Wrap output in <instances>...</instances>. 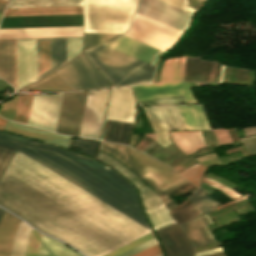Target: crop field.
I'll return each mask as SVG.
<instances>
[{
	"mask_svg": "<svg viewBox=\"0 0 256 256\" xmlns=\"http://www.w3.org/2000/svg\"><path fill=\"white\" fill-rule=\"evenodd\" d=\"M14 149L150 230L133 187L111 169L70 151L0 131ZM0 178V205L88 256H102L148 232L20 153Z\"/></svg>",
	"mask_w": 256,
	"mask_h": 256,
	"instance_id": "obj_1",
	"label": "crop field"
},
{
	"mask_svg": "<svg viewBox=\"0 0 256 256\" xmlns=\"http://www.w3.org/2000/svg\"><path fill=\"white\" fill-rule=\"evenodd\" d=\"M101 150L113 155L160 196L168 211L178 205L166 193L188 182L155 160L123 145L103 142Z\"/></svg>",
	"mask_w": 256,
	"mask_h": 256,
	"instance_id": "obj_2",
	"label": "crop field"
},
{
	"mask_svg": "<svg viewBox=\"0 0 256 256\" xmlns=\"http://www.w3.org/2000/svg\"><path fill=\"white\" fill-rule=\"evenodd\" d=\"M114 86L149 83L154 66L104 45L86 51ZM87 54V55H88Z\"/></svg>",
	"mask_w": 256,
	"mask_h": 256,
	"instance_id": "obj_3",
	"label": "crop field"
},
{
	"mask_svg": "<svg viewBox=\"0 0 256 256\" xmlns=\"http://www.w3.org/2000/svg\"><path fill=\"white\" fill-rule=\"evenodd\" d=\"M138 0H84V32L124 33Z\"/></svg>",
	"mask_w": 256,
	"mask_h": 256,
	"instance_id": "obj_4",
	"label": "crop field"
},
{
	"mask_svg": "<svg viewBox=\"0 0 256 256\" xmlns=\"http://www.w3.org/2000/svg\"><path fill=\"white\" fill-rule=\"evenodd\" d=\"M54 71L73 91L110 86V83L83 53Z\"/></svg>",
	"mask_w": 256,
	"mask_h": 256,
	"instance_id": "obj_5",
	"label": "crop field"
},
{
	"mask_svg": "<svg viewBox=\"0 0 256 256\" xmlns=\"http://www.w3.org/2000/svg\"><path fill=\"white\" fill-rule=\"evenodd\" d=\"M180 33L179 30L136 13L125 35L164 51L172 46Z\"/></svg>",
	"mask_w": 256,
	"mask_h": 256,
	"instance_id": "obj_6",
	"label": "crop field"
},
{
	"mask_svg": "<svg viewBox=\"0 0 256 256\" xmlns=\"http://www.w3.org/2000/svg\"><path fill=\"white\" fill-rule=\"evenodd\" d=\"M108 91L88 92L79 136L99 139Z\"/></svg>",
	"mask_w": 256,
	"mask_h": 256,
	"instance_id": "obj_7",
	"label": "crop field"
},
{
	"mask_svg": "<svg viewBox=\"0 0 256 256\" xmlns=\"http://www.w3.org/2000/svg\"><path fill=\"white\" fill-rule=\"evenodd\" d=\"M136 12L181 31L192 15L159 0H140Z\"/></svg>",
	"mask_w": 256,
	"mask_h": 256,
	"instance_id": "obj_8",
	"label": "crop field"
},
{
	"mask_svg": "<svg viewBox=\"0 0 256 256\" xmlns=\"http://www.w3.org/2000/svg\"><path fill=\"white\" fill-rule=\"evenodd\" d=\"M86 94L63 93L56 132L78 136Z\"/></svg>",
	"mask_w": 256,
	"mask_h": 256,
	"instance_id": "obj_9",
	"label": "crop field"
},
{
	"mask_svg": "<svg viewBox=\"0 0 256 256\" xmlns=\"http://www.w3.org/2000/svg\"><path fill=\"white\" fill-rule=\"evenodd\" d=\"M142 109L156 133L157 142L164 147L171 143L167 130L184 129L176 106L142 107Z\"/></svg>",
	"mask_w": 256,
	"mask_h": 256,
	"instance_id": "obj_10",
	"label": "crop field"
},
{
	"mask_svg": "<svg viewBox=\"0 0 256 256\" xmlns=\"http://www.w3.org/2000/svg\"><path fill=\"white\" fill-rule=\"evenodd\" d=\"M61 95H34L28 124L55 132Z\"/></svg>",
	"mask_w": 256,
	"mask_h": 256,
	"instance_id": "obj_11",
	"label": "crop field"
},
{
	"mask_svg": "<svg viewBox=\"0 0 256 256\" xmlns=\"http://www.w3.org/2000/svg\"><path fill=\"white\" fill-rule=\"evenodd\" d=\"M132 88L139 101L185 94L187 103H197L190 82H166Z\"/></svg>",
	"mask_w": 256,
	"mask_h": 256,
	"instance_id": "obj_12",
	"label": "crop field"
},
{
	"mask_svg": "<svg viewBox=\"0 0 256 256\" xmlns=\"http://www.w3.org/2000/svg\"><path fill=\"white\" fill-rule=\"evenodd\" d=\"M156 233L165 256H194L191 244L176 223L158 229Z\"/></svg>",
	"mask_w": 256,
	"mask_h": 256,
	"instance_id": "obj_13",
	"label": "crop field"
},
{
	"mask_svg": "<svg viewBox=\"0 0 256 256\" xmlns=\"http://www.w3.org/2000/svg\"><path fill=\"white\" fill-rule=\"evenodd\" d=\"M18 89L36 80L35 39L17 40Z\"/></svg>",
	"mask_w": 256,
	"mask_h": 256,
	"instance_id": "obj_14",
	"label": "crop field"
},
{
	"mask_svg": "<svg viewBox=\"0 0 256 256\" xmlns=\"http://www.w3.org/2000/svg\"><path fill=\"white\" fill-rule=\"evenodd\" d=\"M106 118L135 123V100L131 89H113Z\"/></svg>",
	"mask_w": 256,
	"mask_h": 256,
	"instance_id": "obj_15",
	"label": "crop field"
},
{
	"mask_svg": "<svg viewBox=\"0 0 256 256\" xmlns=\"http://www.w3.org/2000/svg\"><path fill=\"white\" fill-rule=\"evenodd\" d=\"M97 159L116 169L136 186L141 194L145 210L162 204V201L158 195L153 190H151L152 188L150 189L146 184L138 179L139 177L137 178L113 156L100 150Z\"/></svg>",
	"mask_w": 256,
	"mask_h": 256,
	"instance_id": "obj_16",
	"label": "crop field"
},
{
	"mask_svg": "<svg viewBox=\"0 0 256 256\" xmlns=\"http://www.w3.org/2000/svg\"><path fill=\"white\" fill-rule=\"evenodd\" d=\"M113 49L121 51L125 54L133 56L137 59L145 61L155 66L156 59L162 53V51L155 49L151 46L143 44L125 35L121 36L114 42L104 44ZM108 47V48H109Z\"/></svg>",
	"mask_w": 256,
	"mask_h": 256,
	"instance_id": "obj_17",
	"label": "crop field"
},
{
	"mask_svg": "<svg viewBox=\"0 0 256 256\" xmlns=\"http://www.w3.org/2000/svg\"><path fill=\"white\" fill-rule=\"evenodd\" d=\"M3 129L67 148H69L72 138L8 121H6Z\"/></svg>",
	"mask_w": 256,
	"mask_h": 256,
	"instance_id": "obj_18",
	"label": "crop field"
},
{
	"mask_svg": "<svg viewBox=\"0 0 256 256\" xmlns=\"http://www.w3.org/2000/svg\"><path fill=\"white\" fill-rule=\"evenodd\" d=\"M0 75L17 88L16 40L0 41Z\"/></svg>",
	"mask_w": 256,
	"mask_h": 256,
	"instance_id": "obj_19",
	"label": "crop field"
},
{
	"mask_svg": "<svg viewBox=\"0 0 256 256\" xmlns=\"http://www.w3.org/2000/svg\"><path fill=\"white\" fill-rule=\"evenodd\" d=\"M210 223H212V220L207 215H203L185 223H182L180 224V226L185 231L194 248H196L207 243L216 242L206 226ZM198 228L207 242L200 234Z\"/></svg>",
	"mask_w": 256,
	"mask_h": 256,
	"instance_id": "obj_20",
	"label": "crop field"
},
{
	"mask_svg": "<svg viewBox=\"0 0 256 256\" xmlns=\"http://www.w3.org/2000/svg\"><path fill=\"white\" fill-rule=\"evenodd\" d=\"M170 135L174 144L187 155L206 146L201 131H172Z\"/></svg>",
	"mask_w": 256,
	"mask_h": 256,
	"instance_id": "obj_21",
	"label": "crop field"
},
{
	"mask_svg": "<svg viewBox=\"0 0 256 256\" xmlns=\"http://www.w3.org/2000/svg\"><path fill=\"white\" fill-rule=\"evenodd\" d=\"M20 220L4 212L0 222V256H10L14 234Z\"/></svg>",
	"mask_w": 256,
	"mask_h": 256,
	"instance_id": "obj_22",
	"label": "crop field"
},
{
	"mask_svg": "<svg viewBox=\"0 0 256 256\" xmlns=\"http://www.w3.org/2000/svg\"><path fill=\"white\" fill-rule=\"evenodd\" d=\"M37 79L53 70L52 39H36Z\"/></svg>",
	"mask_w": 256,
	"mask_h": 256,
	"instance_id": "obj_23",
	"label": "crop field"
},
{
	"mask_svg": "<svg viewBox=\"0 0 256 256\" xmlns=\"http://www.w3.org/2000/svg\"><path fill=\"white\" fill-rule=\"evenodd\" d=\"M82 14V6L6 9L3 16Z\"/></svg>",
	"mask_w": 256,
	"mask_h": 256,
	"instance_id": "obj_24",
	"label": "crop field"
},
{
	"mask_svg": "<svg viewBox=\"0 0 256 256\" xmlns=\"http://www.w3.org/2000/svg\"><path fill=\"white\" fill-rule=\"evenodd\" d=\"M186 130L209 129L200 105L178 106Z\"/></svg>",
	"mask_w": 256,
	"mask_h": 256,
	"instance_id": "obj_25",
	"label": "crop field"
},
{
	"mask_svg": "<svg viewBox=\"0 0 256 256\" xmlns=\"http://www.w3.org/2000/svg\"><path fill=\"white\" fill-rule=\"evenodd\" d=\"M133 125L132 123L106 119L103 140L127 144Z\"/></svg>",
	"mask_w": 256,
	"mask_h": 256,
	"instance_id": "obj_26",
	"label": "crop field"
},
{
	"mask_svg": "<svg viewBox=\"0 0 256 256\" xmlns=\"http://www.w3.org/2000/svg\"><path fill=\"white\" fill-rule=\"evenodd\" d=\"M38 256H82L77 254L65 245L49 238L42 236Z\"/></svg>",
	"mask_w": 256,
	"mask_h": 256,
	"instance_id": "obj_27",
	"label": "crop field"
},
{
	"mask_svg": "<svg viewBox=\"0 0 256 256\" xmlns=\"http://www.w3.org/2000/svg\"><path fill=\"white\" fill-rule=\"evenodd\" d=\"M20 90H61L71 91L67 85L58 77V75L52 71L44 78L23 87Z\"/></svg>",
	"mask_w": 256,
	"mask_h": 256,
	"instance_id": "obj_28",
	"label": "crop field"
},
{
	"mask_svg": "<svg viewBox=\"0 0 256 256\" xmlns=\"http://www.w3.org/2000/svg\"><path fill=\"white\" fill-rule=\"evenodd\" d=\"M178 59L179 58H171L165 62L162 68L160 82L169 80H182L185 56L180 58L177 70Z\"/></svg>",
	"mask_w": 256,
	"mask_h": 256,
	"instance_id": "obj_29",
	"label": "crop field"
},
{
	"mask_svg": "<svg viewBox=\"0 0 256 256\" xmlns=\"http://www.w3.org/2000/svg\"><path fill=\"white\" fill-rule=\"evenodd\" d=\"M32 228L20 222L17 232L15 234L14 243L12 247L11 256H24L28 236Z\"/></svg>",
	"mask_w": 256,
	"mask_h": 256,
	"instance_id": "obj_30",
	"label": "crop field"
},
{
	"mask_svg": "<svg viewBox=\"0 0 256 256\" xmlns=\"http://www.w3.org/2000/svg\"><path fill=\"white\" fill-rule=\"evenodd\" d=\"M146 213L150 219L154 230L174 223L172 218L169 216L164 204L146 210Z\"/></svg>",
	"mask_w": 256,
	"mask_h": 256,
	"instance_id": "obj_31",
	"label": "crop field"
},
{
	"mask_svg": "<svg viewBox=\"0 0 256 256\" xmlns=\"http://www.w3.org/2000/svg\"><path fill=\"white\" fill-rule=\"evenodd\" d=\"M82 36V31L0 34V39Z\"/></svg>",
	"mask_w": 256,
	"mask_h": 256,
	"instance_id": "obj_32",
	"label": "crop field"
},
{
	"mask_svg": "<svg viewBox=\"0 0 256 256\" xmlns=\"http://www.w3.org/2000/svg\"><path fill=\"white\" fill-rule=\"evenodd\" d=\"M203 189L199 188L192 196L188 199L195 204L199 209H201L204 214L214 210L213 207L220 205L217 201L213 200L209 196L205 195ZM209 194V193H207ZM211 195V194H209Z\"/></svg>",
	"mask_w": 256,
	"mask_h": 256,
	"instance_id": "obj_33",
	"label": "crop field"
},
{
	"mask_svg": "<svg viewBox=\"0 0 256 256\" xmlns=\"http://www.w3.org/2000/svg\"><path fill=\"white\" fill-rule=\"evenodd\" d=\"M32 97H33V95H31V96L19 95L15 118H14L15 121H19V122L27 124L30 107H31V102H32Z\"/></svg>",
	"mask_w": 256,
	"mask_h": 256,
	"instance_id": "obj_34",
	"label": "crop field"
},
{
	"mask_svg": "<svg viewBox=\"0 0 256 256\" xmlns=\"http://www.w3.org/2000/svg\"><path fill=\"white\" fill-rule=\"evenodd\" d=\"M201 214L203 213L191 203L171 215L180 224Z\"/></svg>",
	"mask_w": 256,
	"mask_h": 256,
	"instance_id": "obj_35",
	"label": "crop field"
},
{
	"mask_svg": "<svg viewBox=\"0 0 256 256\" xmlns=\"http://www.w3.org/2000/svg\"><path fill=\"white\" fill-rule=\"evenodd\" d=\"M121 34L84 33L85 49L113 40Z\"/></svg>",
	"mask_w": 256,
	"mask_h": 256,
	"instance_id": "obj_36",
	"label": "crop field"
},
{
	"mask_svg": "<svg viewBox=\"0 0 256 256\" xmlns=\"http://www.w3.org/2000/svg\"><path fill=\"white\" fill-rule=\"evenodd\" d=\"M203 182L208 183V184L214 186L215 188H217V189H219L220 191L226 193L227 195H229V196H230L231 198H233V199L236 198L235 200H233V201H231V202H229V203H226V204H224V205H221V206L216 207V208H215L216 210L219 209V208L225 207V206H227V205H230V204L239 202V201H241V200L247 199L246 196H249L248 194H246V195L240 197L241 195H239V194L236 193L235 191H233V190H231V189H229V188H227V187H225V186H222V185H220L219 183H217V182H215V181H213V180H210V179H208V178H205V177H203ZM239 197H240V198H239Z\"/></svg>",
	"mask_w": 256,
	"mask_h": 256,
	"instance_id": "obj_37",
	"label": "crop field"
},
{
	"mask_svg": "<svg viewBox=\"0 0 256 256\" xmlns=\"http://www.w3.org/2000/svg\"><path fill=\"white\" fill-rule=\"evenodd\" d=\"M206 170L203 166H201L199 163L195 164L194 166L186 169L185 171L179 173L186 177L188 180L193 182L195 185L198 186L202 173Z\"/></svg>",
	"mask_w": 256,
	"mask_h": 256,
	"instance_id": "obj_38",
	"label": "crop field"
},
{
	"mask_svg": "<svg viewBox=\"0 0 256 256\" xmlns=\"http://www.w3.org/2000/svg\"><path fill=\"white\" fill-rule=\"evenodd\" d=\"M82 30V27L0 29V33Z\"/></svg>",
	"mask_w": 256,
	"mask_h": 256,
	"instance_id": "obj_39",
	"label": "crop field"
},
{
	"mask_svg": "<svg viewBox=\"0 0 256 256\" xmlns=\"http://www.w3.org/2000/svg\"><path fill=\"white\" fill-rule=\"evenodd\" d=\"M153 237L154 236H153L152 232H150V233H148V234H146V235H144V236H142V237H140V238H138V239H136V240H134V241H132V242H130V243H128V244H126V245H124V246H122V247L104 255V256H117V255H119V254H121V253H123V252H125V251H127V250H129V249H131V248H133V247L151 239V238H153Z\"/></svg>",
	"mask_w": 256,
	"mask_h": 256,
	"instance_id": "obj_40",
	"label": "crop field"
},
{
	"mask_svg": "<svg viewBox=\"0 0 256 256\" xmlns=\"http://www.w3.org/2000/svg\"><path fill=\"white\" fill-rule=\"evenodd\" d=\"M41 235L42 234L38 233L37 231L32 230V232L29 236L25 256H37L38 246H39V241H40Z\"/></svg>",
	"mask_w": 256,
	"mask_h": 256,
	"instance_id": "obj_41",
	"label": "crop field"
},
{
	"mask_svg": "<svg viewBox=\"0 0 256 256\" xmlns=\"http://www.w3.org/2000/svg\"><path fill=\"white\" fill-rule=\"evenodd\" d=\"M17 96L9 102H4L0 104V115L6 119H11L13 120L14 118V113H15V107H16V102H17Z\"/></svg>",
	"mask_w": 256,
	"mask_h": 256,
	"instance_id": "obj_42",
	"label": "crop field"
},
{
	"mask_svg": "<svg viewBox=\"0 0 256 256\" xmlns=\"http://www.w3.org/2000/svg\"><path fill=\"white\" fill-rule=\"evenodd\" d=\"M81 52V38H67V60Z\"/></svg>",
	"mask_w": 256,
	"mask_h": 256,
	"instance_id": "obj_43",
	"label": "crop field"
},
{
	"mask_svg": "<svg viewBox=\"0 0 256 256\" xmlns=\"http://www.w3.org/2000/svg\"><path fill=\"white\" fill-rule=\"evenodd\" d=\"M14 151L0 146V176L12 157Z\"/></svg>",
	"mask_w": 256,
	"mask_h": 256,
	"instance_id": "obj_44",
	"label": "crop field"
},
{
	"mask_svg": "<svg viewBox=\"0 0 256 256\" xmlns=\"http://www.w3.org/2000/svg\"><path fill=\"white\" fill-rule=\"evenodd\" d=\"M201 165L208 168L212 164H220L215 153L206 154L195 158Z\"/></svg>",
	"mask_w": 256,
	"mask_h": 256,
	"instance_id": "obj_45",
	"label": "crop field"
},
{
	"mask_svg": "<svg viewBox=\"0 0 256 256\" xmlns=\"http://www.w3.org/2000/svg\"><path fill=\"white\" fill-rule=\"evenodd\" d=\"M156 243L157 242H156L155 238H153V239H151V240H149V241H147V242H145V243H143V244H141V245H139V246H137V247L121 254V255H119V256H132V255H134V254H136V253H138V252H140V251H142V250H144V249H146V248H148V247H150V246H152Z\"/></svg>",
	"mask_w": 256,
	"mask_h": 256,
	"instance_id": "obj_46",
	"label": "crop field"
},
{
	"mask_svg": "<svg viewBox=\"0 0 256 256\" xmlns=\"http://www.w3.org/2000/svg\"><path fill=\"white\" fill-rule=\"evenodd\" d=\"M241 141L250 153V155L256 153V135L241 138Z\"/></svg>",
	"mask_w": 256,
	"mask_h": 256,
	"instance_id": "obj_47",
	"label": "crop field"
},
{
	"mask_svg": "<svg viewBox=\"0 0 256 256\" xmlns=\"http://www.w3.org/2000/svg\"><path fill=\"white\" fill-rule=\"evenodd\" d=\"M54 68L61 65L60 39H53Z\"/></svg>",
	"mask_w": 256,
	"mask_h": 256,
	"instance_id": "obj_48",
	"label": "crop field"
},
{
	"mask_svg": "<svg viewBox=\"0 0 256 256\" xmlns=\"http://www.w3.org/2000/svg\"><path fill=\"white\" fill-rule=\"evenodd\" d=\"M216 138L219 144L231 143L233 142L228 130H214Z\"/></svg>",
	"mask_w": 256,
	"mask_h": 256,
	"instance_id": "obj_49",
	"label": "crop field"
},
{
	"mask_svg": "<svg viewBox=\"0 0 256 256\" xmlns=\"http://www.w3.org/2000/svg\"><path fill=\"white\" fill-rule=\"evenodd\" d=\"M160 252H161L160 247L158 244H156V245H154V246H152L134 256H154Z\"/></svg>",
	"mask_w": 256,
	"mask_h": 256,
	"instance_id": "obj_50",
	"label": "crop field"
},
{
	"mask_svg": "<svg viewBox=\"0 0 256 256\" xmlns=\"http://www.w3.org/2000/svg\"><path fill=\"white\" fill-rule=\"evenodd\" d=\"M205 0H188V7L199 10L200 7L204 4Z\"/></svg>",
	"mask_w": 256,
	"mask_h": 256,
	"instance_id": "obj_51",
	"label": "crop field"
},
{
	"mask_svg": "<svg viewBox=\"0 0 256 256\" xmlns=\"http://www.w3.org/2000/svg\"><path fill=\"white\" fill-rule=\"evenodd\" d=\"M184 10L186 0H162Z\"/></svg>",
	"mask_w": 256,
	"mask_h": 256,
	"instance_id": "obj_52",
	"label": "crop field"
},
{
	"mask_svg": "<svg viewBox=\"0 0 256 256\" xmlns=\"http://www.w3.org/2000/svg\"><path fill=\"white\" fill-rule=\"evenodd\" d=\"M66 62V38L62 39V63Z\"/></svg>",
	"mask_w": 256,
	"mask_h": 256,
	"instance_id": "obj_53",
	"label": "crop field"
},
{
	"mask_svg": "<svg viewBox=\"0 0 256 256\" xmlns=\"http://www.w3.org/2000/svg\"><path fill=\"white\" fill-rule=\"evenodd\" d=\"M6 120H4L3 118L0 117V129H2L4 123Z\"/></svg>",
	"mask_w": 256,
	"mask_h": 256,
	"instance_id": "obj_54",
	"label": "crop field"
},
{
	"mask_svg": "<svg viewBox=\"0 0 256 256\" xmlns=\"http://www.w3.org/2000/svg\"><path fill=\"white\" fill-rule=\"evenodd\" d=\"M4 6H5V5L0 4V13H2V12H3Z\"/></svg>",
	"mask_w": 256,
	"mask_h": 256,
	"instance_id": "obj_55",
	"label": "crop field"
},
{
	"mask_svg": "<svg viewBox=\"0 0 256 256\" xmlns=\"http://www.w3.org/2000/svg\"><path fill=\"white\" fill-rule=\"evenodd\" d=\"M154 144V142H152L148 147H146L144 150H143V152L145 151V150H147L151 145H153Z\"/></svg>",
	"mask_w": 256,
	"mask_h": 256,
	"instance_id": "obj_56",
	"label": "crop field"
},
{
	"mask_svg": "<svg viewBox=\"0 0 256 256\" xmlns=\"http://www.w3.org/2000/svg\"><path fill=\"white\" fill-rule=\"evenodd\" d=\"M3 212H4V210L0 209V219L2 217Z\"/></svg>",
	"mask_w": 256,
	"mask_h": 256,
	"instance_id": "obj_57",
	"label": "crop field"
},
{
	"mask_svg": "<svg viewBox=\"0 0 256 256\" xmlns=\"http://www.w3.org/2000/svg\"><path fill=\"white\" fill-rule=\"evenodd\" d=\"M0 2L5 4V2H6V1H4V0H0Z\"/></svg>",
	"mask_w": 256,
	"mask_h": 256,
	"instance_id": "obj_58",
	"label": "crop field"
},
{
	"mask_svg": "<svg viewBox=\"0 0 256 256\" xmlns=\"http://www.w3.org/2000/svg\"><path fill=\"white\" fill-rule=\"evenodd\" d=\"M156 256H162V253H160V254H158V255H156Z\"/></svg>",
	"mask_w": 256,
	"mask_h": 256,
	"instance_id": "obj_59",
	"label": "crop field"
},
{
	"mask_svg": "<svg viewBox=\"0 0 256 256\" xmlns=\"http://www.w3.org/2000/svg\"><path fill=\"white\" fill-rule=\"evenodd\" d=\"M1 15H2V14H0V18H1Z\"/></svg>",
	"mask_w": 256,
	"mask_h": 256,
	"instance_id": "obj_60",
	"label": "crop field"
}]
</instances>
